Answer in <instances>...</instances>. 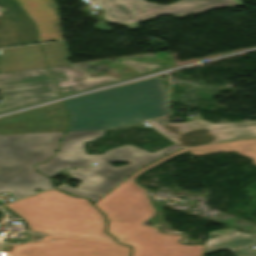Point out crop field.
<instances>
[{
    "instance_id": "8a807250",
    "label": "crop field",
    "mask_w": 256,
    "mask_h": 256,
    "mask_svg": "<svg viewBox=\"0 0 256 256\" xmlns=\"http://www.w3.org/2000/svg\"><path fill=\"white\" fill-rule=\"evenodd\" d=\"M184 152L186 150H179L136 172L95 203L107 216L108 232L120 242L134 247L133 256H202L204 245H182L179 243L182 236L159 233L157 227L143 224L154 216L155 210L146 190L134 181L147 170Z\"/></svg>"
},
{
    "instance_id": "ac0d7876",
    "label": "crop field",
    "mask_w": 256,
    "mask_h": 256,
    "mask_svg": "<svg viewBox=\"0 0 256 256\" xmlns=\"http://www.w3.org/2000/svg\"><path fill=\"white\" fill-rule=\"evenodd\" d=\"M65 108L67 131L107 129L167 114V94L157 78L68 100Z\"/></svg>"
},
{
    "instance_id": "34b2d1b8",
    "label": "crop field",
    "mask_w": 256,
    "mask_h": 256,
    "mask_svg": "<svg viewBox=\"0 0 256 256\" xmlns=\"http://www.w3.org/2000/svg\"><path fill=\"white\" fill-rule=\"evenodd\" d=\"M104 133V130L67 132L62 139L59 152L46 164L36 165V167L41 173L56 177L60 169L92 166V163L98 162V167L67 168V170L72 177L82 181L78 186L98 194H104L133 170L180 147L174 144L153 154L128 145L112 149L104 153V155L86 156L84 150L85 142L94 141L103 136ZM116 161H126L129 165L117 168L107 163ZM86 172L89 174H86Z\"/></svg>"
},
{
    "instance_id": "412701ff",
    "label": "crop field",
    "mask_w": 256,
    "mask_h": 256,
    "mask_svg": "<svg viewBox=\"0 0 256 256\" xmlns=\"http://www.w3.org/2000/svg\"><path fill=\"white\" fill-rule=\"evenodd\" d=\"M4 207L23 220L28 231L115 242L112 237L105 234V221L90 202L56 189L18 200Z\"/></svg>"
},
{
    "instance_id": "f4fd0767",
    "label": "crop field",
    "mask_w": 256,
    "mask_h": 256,
    "mask_svg": "<svg viewBox=\"0 0 256 256\" xmlns=\"http://www.w3.org/2000/svg\"><path fill=\"white\" fill-rule=\"evenodd\" d=\"M64 132L0 135V193L15 199L52 188L50 179L34 170L56 151ZM42 191V190H41Z\"/></svg>"
},
{
    "instance_id": "dd49c442",
    "label": "crop field",
    "mask_w": 256,
    "mask_h": 256,
    "mask_svg": "<svg viewBox=\"0 0 256 256\" xmlns=\"http://www.w3.org/2000/svg\"><path fill=\"white\" fill-rule=\"evenodd\" d=\"M0 248L3 256H129L130 251L117 243L44 233L27 234L25 242L2 241Z\"/></svg>"
},
{
    "instance_id": "e52e79f7",
    "label": "crop field",
    "mask_w": 256,
    "mask_h": 256,
    "mask_svg": "<svg viewBox=\"0 0 256 256\" xmlns=\"http://www.w3.org/2000/svg\"><path fill=\"white\" fill-rule=\"evenodd\" d=\"M94 2L100 6L104 14L103 18L107 22L125 24L131 29H138V22L158 15L172 14L182 17L216 8L243 6L240 0H179L167 7L155 3L149 4L144 0H95ZM195 3L198 5H194ZM200 4L203 7H199Z\"/></svg>"
},
{
    "instance_id": "d8731c3e",
    "label": "crop field",
    "mask_w": 256,
    "mask_h": 256,
    "mask_svg": "<svg viewBox=\"0 0 256 256\" xmlns=\"http://www.w3.org/2000/svg\"><path fill=\"white\" fill-rule=\"evenodd\" d=\"M167 117L150 120L152 128L183 147L256 137V121L210 124L195 120L172 124Z\"/></svg>"
},
{
    "instance_id": "5a996713",
    "label": "crop field",
    "mask_w": 256,
    "mask_h": 256,
    "mask_svg": "<svg viewBox=\"0 0 256 256\" xmlns=\"http://www.w3.org/2000/svg\"><path fill=\"white\" fill-rule=\"evenodd\" d=\"M0 113L60 97L46 67L0 73Z\"/></svg>"
},
{
    "instance_id": "3316defc",
    "label": "crop field",
    "mask_w": 256,
    "mask_h": 256,
    "mask_svg": "<svg viewBox=\"0 0 256 256\" xmlns=\"http://www.w3.org/2000/svg\"><path fill=\"white\" fill-rule=\"evenodd\" d=\"M67 115L58 103L0 119V134L64 131Z\"/></svg>"
},
{
    "instance_id": "28ad6ade",
    "label": "crop field",
    "mask_w": 256,
    "mask_h": 256,
    "mask_svg": "<svg viewBox=\"0 0 256 256\" xmlns=\"http://www.w3.org/2000/svg\"><path fill=\"white\" fill-rule=\"evenodd\" d=\"M0 48L38 43L35 25L13 0H0Z\"/></svg>"
},
{
    "instance_id": "d1516ede",
    "label": "crop field",
    "mask_w": 256,
    "mask_h": 256,
    "mask_svg": "<svg viewBox=\"0 0 256 256\" xmlns=\"http://www.w3.org/2000/svg\"><path fill=\"white\" fill-rule=\"evenodd\" d=\"M38 26L40 42L63 39L58 12L52 0H16Z\"/></svg>"
},
{
    "instance_id": "22f410ed",
    "label": "crop field",
    "mask_w": 256,
    "mask_h": 256,
    "mask_svg": "<svg viewBox=\"0 0 256 256\" xmlns=\"http://www.w3.org/2000/svg\"><path fill=\"white\" fill-rule=\"evenodd\" d=\"M49 70L63 96L122 80L108 76L89 78L86 71L80 70L73 65L51 67Z\"/></svg>"
},
{
    "instance_id": "cbeb9de0",
    "label": "crop field",
    "mask_w": 256,
    "mask_h": 256,
    "mask_svg": "<svg viewBox=\"0 0 256 256\" xmlns=\"http://www.w3.org/2000/svg\"><path fill=\"white\" fill-rule=\"evenodd\" d=\"M212 236L220 237L211 238ZM254 244H256V234L239 233L235 228L212 231L209 232L208 240L205 242L203 256L225 250H230L236 256H256V250L249 247ZM236 250L240 253L235 252Z\"/></svg>"
},
{
    "instance_id": "5142ce71",
    "label": "crop field",
    "mask_w": 256,
    "mask_h": 256,
    "mask_svg": "<svg viewBox=\"0 0 256 256\" xmlns=\"http://www.w3.org/2000/svg\"><path fill=\"white\" fill-rule=\"evenodd\" d=\"M46 66L38 45L0 50L2 72Z\"/></svg>"
},
{
    "instance_id": "d9b57169",
    "label": "crop field",
    "mask_w": 256,
    "mask_h": 256,
    "mask_svg": "<svg viewBox=\"0 0 256 256\" xmlns=\"http://www.w3.org/2000/svg\"><path fill=\"white\" fill-rule=\"evenodd\" d=\"M195 156L216 154L220 152H237L238 154L253 159V164L256 166V139L201 146L186 149Z\"/></svg>"
},
{
    "instance_id": "733c2abd",
    "label": "crop field",
    "mask_w": 256,
    "mask_h": 256,
    "mask_svg": "<svg viewBox=\"0 0 256 256\" xmlns=\"http://www.w3.org/2000/svg\"><path fill=\"white\" fill-rule=\"evenodd\" d=\"M41 46L45 53L48 67L68 64L69 55L64 42L43 44Z\"/></svg>"
},
{
    "instance_id": "4a817a6b",
    "label": "crop field",
    "mask_w": 256,
    "mask_h": 256,
    "mask_svg": "<svg viewBox=\"0 0 256 256\" xmlns=\"http://www.w3.org/2000/svg\"><path fill=\"white\" fill-rule=\"evenodd\" d=\"M67 193L73 194L75 196H80V197H87L92 203L95 202L97 199L101 197V195H97L95 193L89 192L87 190L81 189L77 187L76 189L68 186V185H63L60 187H57ZM56 188V189H57Z\"/></svg>"
},
{
    "instance_id": "bc2a9ffb",
    "label": "crop field",
    "mask_w": 256,
    "mask_h": 256,
    "mask_svg": "<svg viewBox=\"0 0 256 256\" xmlns=\"http://www.w3.org/2000/svg\"><path fill=\"white\" fill-rule=\"evenodd\" d=\"M121 63H123L137 71H140V72H147L150 70L162 68L161 66L157 65L154 62H149L147 64H140V63L132 61V60H123V61H121Z\"/></svg>"
},
{
    "instance_id": "214f88e0",
    "label": "crop field",
    "mask_w": 256,
    "mask_h": 256,
    "mask_svg": "<svg viewBox=\"0 0 256 256\" xmlns=\"http://www.w3.org/2000/svg\"><path fill=\"white\" fill-rule=\"evenodd\" d=\"M129 124H122V125H114V126H112V128H114V127H121V126H128Z\"/></svg>"
}]
</instances>
